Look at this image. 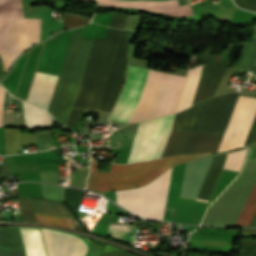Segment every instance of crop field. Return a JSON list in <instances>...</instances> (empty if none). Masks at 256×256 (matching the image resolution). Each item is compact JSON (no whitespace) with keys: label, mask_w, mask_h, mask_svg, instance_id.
Here are the masks:
<instances>
[{"label":"crop field","mask_w":256,"mask_h":256,"mask_svg":"<svg viewBox=\"0 0 256 256\" xmlns=\"http://www.w3.org/2000/svg\"><path fill=\"white\" fill-rule=\"evenodd\" d=\"M22 105L26 126L35 128L53 125L51 117L43 109L24 102Z\"/></svg>","instance_id":"crop-field-17"},{"label":"crop field","mask_w":256,"mask_h":256,"mask_svg":"<svg viewBox=\"0 0 256 256\" xmlns=\"http://www.w3.org/2000/svg\"><path fill=\"white\" fill-rule=\"evenodd\" d=\"M222 136L172 130L162 157L216 152Z\"/></svg>","instance_id":"crop-field-8"},{"label":"crop field","mask_w":256,"mask_h":256,"mask_svg":"<svg viewBox=\"0 0 256 256\" xmlns=\"http://www.w3.org/2000/svg\"><path fill=\"white\" fill-rule=\"evenodd\" d=\"M22 246L19 227H0V247L14 250Z\"/></svg>","instance_id":"crop-field-18"},{"label":"crop field","mask_w":256,"mask_h":256,"mask_svg":"<svg viewBox=\"0 0 256 256\" xmlns=\"http://www.w3.org/2000/svg\"><path fill=\"white\" fill-rule=\"evenodd\" d=\"M9 251V255L10 256H25V252H24V248H19L17 250H14V251Z\"/></svg>","instance_id":"crop-field-31"},{"label":"crop field","mask_w":256,"mask_h":256,"mask_svg":"<svg viewBox=\"0 0 256 256\" xmlns=\"http://www.w3.org/2000/svg\"><path fill=\"white\" fill-rule=\"evenodd\" d=\"M98 5L121 6L142 8L150 11L162 12L173 16L193 15L189 4L178 6L177 0L164 2L151 1H116V0H98Z\"/></svg>","instance_id":"crop-field-12"},{"label":"crop field","mask_w":256,"mask_h":256,"mask_svg":"<svg viewBox=\"0 0 256 256\" xmlns=\"http://www.w3.org/2000/svg\"><path fill=\"white\" fill-rule=\"evenodd\" d=\"M80 31L72 33L48 109L64 125H66L71 112L77 88L94 40L79 38Z\"/></svg>","instance_id":"crop-field-3"},{"label":"crop field","mask_w":256,"mask_h":256,"mask_svg":"<svg viewBox=\"0 0 256 256\" xmlns=\"http://www.w3.org/2000/svg\"><path fill=\"white\" fill-rule=\"evenodd\" d=\"M87 22H89L88 19L76 17L69 14L64 15V29L83 26Z\"/></svg>","instance_id":"crop-field-27"},{"label":"crop field","mask_w":256,"mask_h":256,"mask_svg":"<svg viewBox=\"0 0 256 256\" xmlns=\"http://www.w3.org/2000/svg\"><path fill=\"white\" fill-rule=\"evenodd\" d=\"M133 32L123 31L101 98L99 110L110 112L118 94L128 59L125 58Z\"/></svg>","instance_id":"crop-field-9"},{"label":"crop field","mask_w":256,"mask_h":256,"mask_svg":"<svg viewBox=\"0 0 256 256\" xmlns=\"http://www.w3.org/2000/svg\"><path fill=\"white\" fill-rule=\"evenodd\" d=\"M148 71V69L129 66L122 95L110 119L129 121L140 99ZM184 80V76L150 70L140 102L130 122L174 113Z\"/></svg>","instance_id":"crop-field-1"},{"label":"crop field","mask_w":256,"mask_h":256,"mask_svg":"<svg viewBox=\"0 0 256 256\" xmlns=\"http://www.w3.org/2000/svg\"><path fill=\"white\" fill-rule=\"evenodd\" d=\"M17 202L22 221L35 223L30 198L20 199Z\"/></svg>","instance_id":"crop-field-24"},{"label":"crop field","mask_w":256,"mask_h":256,"mask_svg":"<svg viewBox=\"0 0 256 256\" xmlns=\"http://www.w3.org/2000/svg\"><path fill=\"white\" fill-rule=\"evenodd\" d=\"M2 126L25 127L23 112L4 110Z\"/></svg>","instance_id":"crop-field-21"},{"label":"crop field","mask_w":256,"mask_h":256,"mask_svg":"<svg viewBox=\"0 0 256 256\" xmlns=\"http://www.w3.org/2000/svg\"><path fill=\"white\" fill-rule=\"evenodd\" d=\"M29 47L21 0H0V56L6 71Z\"/></svg>","instance_id":"crop-field-5"},{"label":"crop field","mask_w":256,"mask_h":256,"mask_svg":"<svg viewBox=\"0 0 256 256\" xmlns=\"http://www.w3.org/2000/svg\"><path fill=\"white\" fill-rule=\"evenodd\" d=\"M205 155L208 154L168 157L129 165L112 164L110 173L96 172L97 162L91 161V173L86 188L104 192L143 186L170 167Z\"/></svg>","instance_id":"crop-field-2"},{"label":"crop field","mask_w":256,"mask_h":256,"mask_svg":"<svg viewBox=\"0 0 256 256\" xmlns=\"http://www.w3.org/2000/svg\"><path fill=\"white\" fill-rule=\"evenodd\" d=\"M242 242L243 250L240 256H256V242L247 240H242Z\"/></svg>","instance_id":"crop-field-28"},{"label":"crop field","mask_w":256,"mask_h":256,"mask_svg":"<svg viewBox=\"0 0 256 256\" xmlns=\"http://www.w3.org/2000/svg\"><path fill=\"white\" fill-rule=\"evenodd\" d=\"M0 256H9L8 251L0 248Z\"/></svg>","instance_id":"crop-field-32"},{"label":"crop field","mask_w":256,"mask_h":256,"mask_svg":"<svg viewBox=\"0 0 256 256\" xmlns=\"http://www.w3.org/2000/svg\"><path fill=\"white\" fill-rule=\"evenodd\" d=\"M101 256H139V255L128 253L119 247H115L106 243Z\"/></svg>","instance_id":"crop-field-26"},{"label":"crop field","mask_w":256,"mask_h":256,"mask_svg":"<svg viewBox=\"0 0 256 256\" xmlns=\"http://www.w3.org/2000/svg\"><path fill=\"white\" fill-rule=\"evenodd\" d=\"M135 226H130L129 224H109L108 234L112 236L119 237L128 242H131V234L133 233ZM133 236V234H132ZM133 242V239H132Z\"/></svg>","instance_id":"crop-field-20"},{"label":"crop field","mask_w":256,"mask_h":256,"mask_svg":"<svg viewBox=\"0 0 256 256\" xmlns=\"http://www.w3.org/2000/svg\"><path fill=\"white\" fill-rule=\"evenodd\" d=\"M48 256H84L87 245L83 239L68 233L41 229Z\"/></svg>","instance_id":"crop-field-10"},{"label":"crop field","mask_w":256,"mask_h":256,"mask_svg":"<svg viewBox=\"0 0 256 256\" xmlns=\"http://www.w3.org/2000/svg\"><path fill=\"white\" fill-rule=\"evenodd\" d=\"M226 70L227 68L219 69L207 65L203 66L192 105L213 97Z\"/></svg>","instance_id":"crop-field-13"},{"label":"crop field","mask_w":256,"mask_h":256,"mask_svg":"<svg viewBox=\"0 0 256 256\" xmlns=\"http://www.w3.org/2000/svg\"><path fill=\"white\" fill-rule=\"evenodd\" d=\"M29 44L32 45L39 41L40 19L25 18Z\"/></svg>","instance_id":"crop-field-23"},{"label":"crop field","mask_w":256,"mask_h":256,"mask_svg":"<svg viewBox=\"0 0 256 256\" xmlns=\"http://www.w3.org/2000/svg\"><path fill=\"white\" fill-rule=\"evenodd\" d=\"M171 169L144 187L115 191L117 204L141 218L162 221Z\"/></svg>","instance_id":"crop-field-4"},{"label":"crop field","mask_w":256,"mask_h":256,"mask_svg":"<svg viewBox=\"0 0 256 256\" xmlns=\"http://www.w3.org/2000/svg\"><path fill=\"white\" fill-rule=\"evenodd\" d=\"M4 74V72H3V68H2V64H1V60H0V78H1V76Z\"/></svg>","instance_id":"crop-field-35"},{"label":"crop field","mask_w":256,"mask_h":256,"mask_svg":"<svg viewBox=\"0 0 256 256\" xmlns=\"http://www.w3.org/2000/svg\"><path fill=\"white\" fill-rule=\"evenodd\" d=\"M203 65L190 68L187 73V78L181 93L176 112L183 110L191 105L197 81Z\"/></svg>","instance_id":"crop-field-16"},{"label":"crop field","mask_w":256,"mask_h":256,"mask_svg":"<svg viewBox=\"0 0 256 256\" xmlns=\"http://www.w3.org/2000/svg\"><path fill=\"white\" fill-rule=\"evenodd\" d=\"M27 256H47L39 228H20Z\"/></svg>","instance_id":"crop-field-15"},{"label":"crop field","mask_w":256,"mask_h":256,"mask_svg":"<svg viewBox=\"0 0 256 256\" xmlns=\"http://www.w3.org/2000/svg\"><path fill=\"white\" fill-rule=\"evenodd\" d=\"M92 1H95V0H92Z\"/></svg>","instance_id":"crop-field-36"},{"label":"crop field","mask_w":256,"mask_h":256,"mask_svg":"<svg viewBox=\"0 0 256 256\" xmlns=\"http://www.w3.org/2000/svg\"><path fill=\"white\" fill-rule=\"evenodd\" d=\"M173 118L174 115L141 122L127 163L161 157Z\"/></svg>","instance_id":"crop-field-6"},{"label":"crop field","mask_w":256,"mask_h":256,"mask_svg":"<svg viewBox=\"0 0 256 256\" xmlns=\"http://www.w3.org/2000/svg\"><path fill=\"white\" fill-rule=\"evenodd\" d=\"M31 200H32L34 212L68 217V218H72L74 222L76 221L73 218V216L68 212V210L65 208V206L61 203L49 201V200L34 199V198H31ZM37 213H34L36 223L57 225V226L71 228V229H73L74 227V222L72 221V219L37 214Z\"/></svg>","instance_id":"crop-field-11"},{"label":"crop field","mask_w":256,"mask_h":256,"mask_svg":"<svg viewBox=\"0 0 256 256\" xmlns=\"http://www.w3.org/2000/svg\"><path fill=\"white\" fill-rule=\"evenodd\" d=\"M249 227H256V214H255V216H254V218H253Z\"/></svg>","instance_id":"crop-field-33"},{"label":"crop field","mask_w":256,"mask_h":256,"mask_svg":"<svg viewBox=\"0 0 256 256\" xmlns=\"http://www.w3.org/2000/svg\"><path fill=\"white\" fill-rule=\"evenodd\" d=\"M247 150L230 153L223 168L239 171Z\"/></svg>","instance_id":"crop-field-22"},{"label":"crop field","mask_w":256,"mask_h":256,"mask_svg":"<svg viewBox=\"0 0 256 256\" xmlns=\"http://www.w3.org/2000/svg\"><path fill=\"white\" fill-rule=\"evenodd\" d=\"M4 94H5V89L0 87V126H1V122H2Z\"/></svg>","instance_id":"crop-field-30"},{"label":"crop field","mask_w":256,"mask_h":256,"mask_svg":"<svg viewBox=\"0 0 256 256\" xmlns=\"http://www.w3.org/2000/svg\"><path fill=\"white\" fill-rule=\"evenodd\" d=\"M234 1L239 7L256 12V0H234Z\"/></svg>","instance_id":"crop-field-29"},{"label":"crop field","mask_w":256,"mask_h":256,"mask_svg":"<svg viewBox=\"0 0 256 256\" xmlns=\"http://www.w3.org/2000/svg\"><path fill=\"white\" fill-rule=\"evenodd\" d=\"M57 78L36 72L27 100L48 109Z\"/></svg>","instance_id":"crop-field-14"},{"label":"crop field","mask_w":256,"mask_h":256,"mask_svg":"<svg viewBox=\"0 0 256 256\" xmlns=\"http://www.w3.org/2000/svg\"><path fill=\"white\" fill-rule=\"evenodd\" d=\"M256 211V185L236 225L248 226Z\"/></svg>","instance_id":"crop-field-19"},{"label":"crop field","mask_w":256,"mask_h":256,"mask_svg":"<svg viewBox=\"0 0 256 256\" xmlns=\"http://www.w3.org/2000/svg\"><path fill=\"white\" fill-rule=\"evenodd\" d=\"M82 190L68 189L65 188L64 201L69 206V208L75 213L78 205V201ZM64 202V203H65Z\"/></svg>","instance_id":"crop-field-25"},{"label":"crop field","mask_w":256,"mask_h":256,"mask_svg":"<svg viewBox=\"0 0 256 256\" xmlns=\"http://www.w3.org/2000/svg\"><path fill=\"white\" fill-rule=\"evenodd\" d=\"M256 113V99L238 96L219 151L243 147Z\"/></svg>","instance_id":"crop-field-7"},{"label":"crop field","mask_w":256,"mask_h":256,"mask_svg":"<svg viewBox=\"0 0 256 256\" xmlns=\"http://www.w3.org/2000/svg\"><path fill=\"white\" fill-rule=\"evenodd\" d=\"M241 232H246V233H256V230H251V229H242Z\"/></svg>","instance_id":"crop-field-34"}]
</instances>
